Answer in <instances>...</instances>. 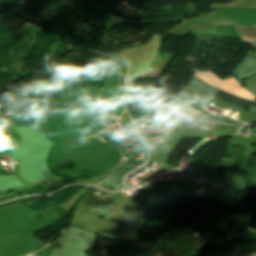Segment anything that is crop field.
I'll use <instances>...</instances> for the list:
<instances>
[{"label":"crop field","mask_w":256,"mask_h":256,"mask_svg":"<svg viewBox=\"0 0 256 256\" xmlns=\"http://www.w3.org/2000/svg\"><path fill=\"white\" fill-rule=\"evenodd\" d=\"M96 136V135H95ZM99 139V138H98ZM102 141V140H101Z\"/></svg>","instance_id":"obj_7"},{"label":"crop field","mask_w":256,"mask_h":256,"mask_svg":"<svg viewBox=\"0 0 256 256\" xmlns=\"http://www.w3.org/2000/svg\"><path fill=\"white\" fill-rule=\"evenodd\" d=\"M256 95V91L253 92Z\"/></svg>","instance_id":"obj_6"},{"label":"crop field","mask_w":256,"mask_h":256,"mask_svg":"<svg viewBox=\"0 0 256 256\" xmlns=\"http://www.w3.org/2000/svg\"><path fill=\"white\" fill-rule=\"evenodd\" d=\"M254 73H256V53L251 58L247 57L238 63V67L232 72L234 78L240 84L246 76Z\"/></svg>","instance_id":"obj_3"},{"label":"crop field","mask_w":256,"mask_h":256,"mask_svg":"<svg viewBox=\"0 0 256 256\" xmlns=\"http://www.w3.org/2000/svg\"><path fill=\"white\" fill-rule=\"evenodd\" d=\"M241 39H256V28L235 26Z\"/></svg>","instance_id":"obj_5"},{"label":"crop field","mask_w":256,"mask_h":256,"mask_svg":"<svg viewBox=\"0 0 256 256\" xmlns=\"http://www.w3.org/2000/svg\"><path fill=\"white\" fill-rule=\"evenodd\" d=\"M140 164L141 163L133 159L123 163L107 180L104 181V183L113 187L115 190H121L123 185V176Z\"/></svg>","instance_id":"obj_2"},{"label":"crop field","mask_w":256,"mask_h":256,"mask_svg":"<svg viewBox=\"0 0 256 256\" xmlns=\"http://www.w3.org/2000/svg\"><path fill=\"white\" fill-rule=\"evenodd\" d=\"M200 139L201 137H181L180 140L178 139V143L167 157L165 163L175 167L179 166L183 154L195 146Z\"/></svg>","instance_id":"obj_1"},{"label":"crop field","mask_w":256,"mask_h":256,"mask_svg":"<svg viewBox=\"0 0 256 256\" xmlns=\"http://www.w3.org/2000/svg\"><path fill=\"white\" fill-rule=\"evenodd\" d=\"M211 95L221 98V99H224V100H227L229 102L244 106V107H246V106L256 107V102H253V101H250V100L238 97V96L231 95V94L224 92L220 89H217L215 87L213 88Z\"/></svg>","instance_id":"obj_4"}]
</instances>
